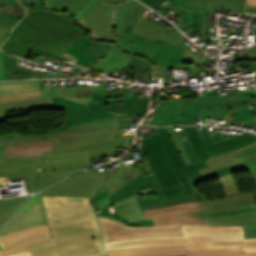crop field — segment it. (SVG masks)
Segmentation results:
<instances>
[{"instance_id": "crop-field-1", "label": "crop field", "mask_w": 256, "mask_h": 256, "mask_svg": "<svg viewBox=\"0 0 256 256\" xmlns=\"http://www.w3.org/2000/svg\"><path fill=\"white\" fill-rule=\"evenodd\" d=\"M53 238L32 243L12 254L31 256L105 255L90 198L42 197ZM10 254V255H12Z\"/></svg>"}, {"instance_id": "crop-field-2", "label": "crop field", "mask_w": 256, "mask_h": 256, "mask_svg": "<svg viewBox=\"0 0 256 256\" xmlns=\"http://www.w3.org/2000/svg\"><path fill=\"white\" fill-rule=\"evenodd\" d=\"M27 9L28 14L0 49L25 59L34 51L68 61L58 55L86 31L74 24L69 13Z\"/></svg>"}, {"instance_id": "crop-field-3", "label": "crop field", "mask_w": 256, "mask_h": 256, "mask_svg": "<svg viewBox=\"0 0 256 256\" xmlns=\"http://www.w3.org/2000/svg\"><path fill=\"white\" fill-rule=\"evenodd\" d=\"M133 137H122L118 128L49 134L48 141L55 140V154H46L39 170L91 166L89 157L113 155L117 145L129 148Z\"/></svg>"}, {"instance_id": "crop-field-4", "label": "crop field", "mask_w": 256, "mask_h": 256, "mask_svg": "<svg viewBox=\"0 0 256 256\" xmlns=\"http://www.w3.org/2000/svg\"><path fill=\"white\" fill-rule=\"evenodd\" d=\"M142 212L145 220L153 219L155 227H128L121 222L98 217L104 241L183 236L180 224L208 225L205 201L144 210Z\"/></svg>"}, {"instance_id": "crop-field-5", "label": "crop field", "mask_w": 256, "mask_h": 256, "mask_svg": "<svg viewBox=\"0 0 256 256\" xmlns=\"http://www.w3.org/2000/svg\"><path fill=\"white\" fill-rule=\"evenodd\" d=\"M184 237L132 239L105 243L106 249L186 244L187 250L242 245L244 253L256 252V238L244 239L242 226H185Z\"/></svg>"}, {"instance_id": "crop-field-6", "label": "crop field", "mask_w": 256, "mask_h": 256, "mask_svg": "<svg viewBox=\"0 0 256 256\" xmlns=\"http://www.w3.org/2000/svg\"><path fill=\"white\" fill-rule=\"evenodd\" d=\"M156 132L143 138L142 146L161 188L167 199L199 192L179 168L181 164L171 147L163 129L155 127Z\"/></svg>"}, {"instance_id": "crop-field-7", "label": "crop field", "mask_w": 256, "mask_h": 256, "mask_svg": "<svg viewBox=\"0 0 256 256\" xmlns=\"http://www.w3.org/2000/svg\"><path fill=\"white\" fill-rule=\"evenodd\" d=\"M148 98L111 99L107 100V105H104L81 97H54L52 98L54 107L67 108V116L60 128L46 133L67 129L71 124L113 116L108 111L140 115L148 108Z\"/></svg>"}, {"instance_id": "crop-field-8", "label": "crop field", "mask_w": 256, "mask_h": 256, "mask_svg": "<svg viewBox=\"0 0 256 256\" xmlns=\"http://www.w3.org/2000/svg\"><path fill=\"white\" fill-rule=\"evenodd\" d=\"M222 97L217 99L205 97L161 101L160 108L156 109V116L151 123L154 125L196 124V118L244 111L231 112L227 95Z\"/></svg>"}, {"instance_id": "crop-field-9", "label": "crop field", "mask_w": 256, "mask_h": 256, "mask_svg": "<svg viewBox=\"0 0 256 256\" xmlns=\"http://www.w3.org/2000/svg\"><path fill=\"white\" fill-rule=\"evenodd\" d=\"M203 128H204L206 139H201V141H199V142L191 143V146H192L199 162L186 165L178 148L176 147L171 135L169 134L167 128L163 127L172 147L174 148V150L183 166V167H181V169L183 170V172L188 176V178L192 182L196 181L197 184H199L208 179H212V178H215V177H218L221 175H225L228 173L248 170L245 163L243 162V163H240V164H237L234 166H230V167L200 176L198 169L206 167L204 160L208 158L207 154L230 149L232 147L240 145V144L256 137V135L245 132L237 137L226 140L224 142H222V140L210 142L207 126H203Z\"/></svg>"}, {"instance_id": "crop-field-10", "label": "crop field", "mask_w": 256, "mask_h": 256, "mask_svg": "<svg viewBox=\"0 0 256 256\" xmlns=\"http://www.w3.org/2000/svg\"><path fill=\"white\" fill-rule=\"evenodd\" d=\"M40 162L38 159L0 157V187L8 184L6 179H24L27 192L33 193L71 173L85 169L38 171Z\"/></svg>"}, {"instance_id": "crop-field-11", "label": "crop field", "mask_w": 256, "mask_h": 256, "mask_svg": "<svg viewBox=\"0 0 256 256\" xmlns=\"http://www.w3.org/2000/svg\"><path fill=\"white\" fill-rule=\"evenodd\" d=\"M111 172H94L89 170L71 176L41 192L42 196L63 195L92 197Z\"/></svg>"}, {"instance_id": "crop-field-12", "label": "crop field", "mask_w": 256, "mask_h": 256, "mask_svg": "<svg viewBox=\"0 0 256 256\" xmlns=\"http://www.w3.org/2000/svg\"><path fill=\"white\" fill-rule=\"evenodd\" d=\"M109 256H243L241 246L186 251L185 245L154 246L107 251Z\"/></svg>"}, {"instance_id": "crop-field-13", "label": "crop field", "mask_w": 256, "mask_h": 256, "mask_svg": "<svg viewBox=\"0 0 256 256\" xmlns=\"http://www.w3.org/2000/svg\"><path fill=\"white\" fill-rule=\"evenodd\" d=\"M144 38L124 31L109 50L108 56L94 66L95 69L113 72L115 67L125 69L133 54L143 57L145 49L139 48Z\"/></svg>"}, {"instance_id": "crop-field-14", "label": "crop field", "mask_w": 256, "mask_h": 256, "mask_svg": "<svg viewBox=\"0 0 256 256\" xmlns=\"http://www.w3.org/2000/svg\"><path fill=\"white\" fill-rule=\"evenodd\" d=\"M117 5L103 1L76 25L86 30L90 39L113 42V11Z\"/></svg>"}, {"instance_id": "crop-field-15", "label": "crop field", "mask_w": 256, "mask_h": 256, "mask_svg": "<svg viewBox=\"0 0 256 256\" xmlns=\"http://www.w3.org/2000/svg\"><path fill=\"white\" fill-rule=\"evenodd\" d=\"M41 224H47V222L40 194H37L26 201L0 226V236Z\"/></svg>"}, {"instance_id": "crop-field-16", "label": "crop field", "mask_w": 256, "mask_h": 256, "mask_svg": "<svg viewBox=\"0 0 256 256\" xmlns=\"http://www.w3.org/2000/svg\"><path fill=\"white\" fill-rule=\"evenodd\" d=\"M147 48L144 58L152 61L154 64L161 65L163 70V84L168 83V70L187 68L186 64H193V59H184L183 43L154 42L145 39L141 45ZM155 50H165L163 59H152Z\"/></svg>"}, {"instance_id": "crop-field-17", "label": "crop field", "mask_w": 256, "mask_h": 256, "mask_svg": "<svg viewBox=\"0 0 256 256\" xmlns=\"http://www.w3.org/2000/svg\"><path fill=\"white\" fill-rule=\"evenodd\" d=\"M145 6L139 4L133 26H129L126 31L155 41L183 42L182 33L175 27L166 31V27L153 23L142 15Z\"/></svg>"}, {"instance_id": "crop-field-18", "label": "crop field", "mask_w": 256, "mask_h": 256, "mask_svg": "<svg viewBox=\"0 0 256 256\" xmlns=\"http://www.w3.org/2000/svg\"><path fill=\"white\" fill-rule=\"evenodd\" d=\"M45 97L41 80L0 83V103Z\"/></svg>"}, {"instance_id": "crop-field-19", "label": "crop field", "mask_w": 256, "mask_h": 256, "mask_svg": "<svg viewBox=\"0 0 256 256\" xmlns=\"http://www.w3.org/2000/svg\"><path fill=\"white\" fill-rule=\"evenodd\" d=\"M50 237L47 225L37 226L0 237V246L3 248L0 250V256H5L32 242L44 240Z\"/></svg>"}, {"instance_id": "crop-field-20", "label": "crop field", "mask_w": 256, "mask_h": 256, "mask_svg": "<svg viewBox=\"0 0 256 256\" xmlns=\"http://www.w3.org/2000/svg\"><path fill=\"white\" fill-rule=\"evenodd\" d=\"M207 213L256 207L253 194H237L206 201Z\"/></svg>"}, {"instance_id": "crop-field-21", "label": "crop field", "mask_w": 256, "mask_h": 256, "mask_svg": "<svg viewBox=\"0 0 256 256\" xmlns=\"http://www.w3.org/2000/svg\"><path fill=\"white\" fill-rule=\"evenodd\" d=\"M45 153H54V141L5 147L4 157H29L42 159Z\"/></svg>"}, {"instance_id": "crop-field-22", "label": "crop field", "mask_w": 256, "mask_h": 256, "mask_svg": "<svg viewBox=\"0 0 256 256\" xmlns=\"http://www.w3.org/2000/svg\"><path fill=\"white\" fill-rule=\"evenodd\" d=\"M209 225H243L245 238L256 237V213L208 217Z\"/></svg>"}, {"instance_id": "crop-field-23", "label": "crop field", "mask_w": 256, "mask_h": 256, "mask_svg": "<svg viewBox=\"0 0 256 256\" xmlns=\"http://www.w3.org/2000/svg\"><path fill=\"white\" fill-rule=\"evenodd\" d=\"M26 10L18 0H0V26L14 28Z\"/></svg>"}, {"instance_id": "crop-field-24", "label": "crop field", "mask_w": 256, "mask_h": 256, "mask_svg": "<svg viewBox=\"0 0 256 256\" xmlns=\"http://www.w3.org/2000/svg\"><path fill=\"white\" fill-rule=\"evenodd\" d=\"M254 145H256V141L247 145V146H245V147H243V148H241V149L231 151V152H228V153H225V154H222V155L209 157V159L206 160V163H207L208 167L200 169L199 170L200 174L202 175V174H205V173H208V172H211V171H215V170H218V169H221V168L233 165V164L243 162L241 156L236 158L234 154L241 151V150H245L249 147H252Z\"/></svg>"}, {"instance_id": "crop-field-25", "label": "crop field", "mask_w": 256, "mask_h": 256, "mask_svg": "<svg viewBox=\"0 0 256 256\" xmlns=\"http://www.w3.org/2000/svg\"><path fill=\"white\" fill-rule=\"evenodd\" d=\"M137 1L131 0L122 3L115 12V29L116 34L123 32L130 24H133L136 9L138 6Z\"/></svg>"}, {"instance_id": "crop-field-26", "label": "crop field", "mask_w": 256, "mask_h": 256, "mask_svg": "<svg viewBox=\"0 0 256 256\" xmlns=\"http://www.w3.org/2000/svg\"><path fill=\"white\" fill-rule=\"evenodd\" d=\"M38 107H53L51 98H38L27 101L0 104V122L6 121L4 114Z\"/></svg>"}, {"instance_id": "crop-field-27", "label": "crop field", "mask_w": 256, "mask_h": 256, "mask_svg": "<svg viewBox=\"0 0 256 256\" xmlns=\"http://www.w3.org/2000/svg\"><path fill=\"white\" fill-rule=\"evenodd\" d=\"M90 0H46L45 9H52L56 12H69L72 16L79 11ZM124 2L127 0H109Z\"/></svg>"}, {"instance_id": "crop-field-28", "label": "crop field", "mask_w": 256, "mask_h": 256, "mask_svg": "<svg viewBox=\"0 0 256 256\" xmlns=\"http://www.w3.org/2000/svg\"><path fill=\"white\" fill-rule=\"evenodd\" d=\"M5 64L6 80L10 79H27L31 77V70L16 66L17 58L3 53Z\"/></svg>"}, {"instance_id": "crop-field-29", "label": "crop field", "mask_w": 256, "mask_h": 256, "mask_svg": "<svg viewBox=\"0 0 256 256\" xmlns=\"http://www.w3.org/2000/svg\"><path fill=\"white\" fill-rule=\"evenodd\" d=\"M47 141L46 134L24 137L22 133L0 136V156L3 157L4 146L30 142Z\"/></svg>"}, {"instance_id": "crop-field-30", "label": "crop field", "mask_w": 256, "mask_h": 256, "mask_svg": "<svg viewBox=\"0 0 256 256\" xmlns=\"http://www.w3.org/2000/svg\"><path fill=\"white\" fill-rule=\"evenodd\" d=\"M118 122H119V117L113 116V117H108L104 119L71 125L69 127H70V131L73 132L77 130L118 127Z\"/></svg>"}, {"instance_id": "crop-field-31", "label": "crop field", "mask_w": 256, "mask_h": 256, "mask_svg": "<svg viewBox=\"0 0 256 256\" xmlns=\"http://www.w3.org/2000/svg\"><path fill=\"white\" fill-rule=\"evenodd\" d=\"M128 182L129 180L124 171V168L122 164H120L119 167L114 171V173L109 177V179L104 184L111 192V194H113Z\"/></svg>"}, {"instance_id": "crop-field-32", "label": "crop field", "mask_w": 256, "mask_h": 256, "mask_svg": "<svg viewBox=\"0 0 256 256\" xmlns=\"http://www.w3.org/2000/svg\"><path fill=\"white\" fill-rule=\"evenodd\" d=\"M203 200H206V197L204 195H202L201 193H197V194H192V195H188V196H183V197H179V198L161 201L158 204L142 207L141 209L144 210V209L169 206V205H175V204H182V203H189V202H196V201H203Z\"/></svg>"}, {"instance_id": "crop-field-33", "label": "crop field", "mask_w": 256, "mask_h": 256, "mask_svg": "<svg viewBox=\"0 0 256 256\" xmlns=\"http://www.w3.org/2000/svg\"><path fill=\"white\" fill-rule=\"evenodd\" d=\"M236 157L241 155L243 160L246 162L249 172L253 178V181L256 185V146L249 148L245 151L235 154Z\"/></svg>"}, {"instance_id": "crop-field-34", "label": "crop field", "mask_w": 256, "mask_h": 256, "mask_svg": "<svg viewBox=\"0 0 256 256\" xmlns=\"http://www.w3.org/2000/svg\"><path fill=\"white\" fill-rule=\"evenodd\" d=\"M217 179L220 183V186L225 196H229L231 194H237L241 192L233 174L221 176V177H218Z\"/></svg>"}, {"instance_id": "crop-field-35", "label": "crop field", "mask_w": 256, "mask_h": 256, "mask_svg": "<svg viewBox=\"0 0 256 256\" xmlns=\"http://www.w3.org/2000/svg\"><path fill=\"white\" fill-rule=\"evenodd\" d=\"M205 3L214 4L216 6L237 12L242 13L244 0H195Z\"/></svg>"}, {"instance_id": "crop-field-36", "label": "crop field", "mask_w": 256, "mask_h": 256, "mask_svg": "<svg viewBox=\"0 0 256 256\" xmlns=\"http://www.w3.org/2000/svg\"><path fill=\"white\" fill-rule=\"evenodd\" d=\"M185 58H194V65H187L189 72L205 71L206 61H210L208 57L199 58V55H193L185 47ZM198 56V58H196Z\"/></svg>"}, {"instance_id": "crop-field-37", "label": "crop field", "mask_w": 256, "mask_h": 256, "mask_svg": "<svg viewBox=\"0 0 256 256\" xmlns=\"http://www.w3.org/2000/svg\"><path fill=\"white\" fill-rule=\"evenodd\" d=\"M238 95L240 97L239 98L240 103L230 105V109L254 105L251 97L256 96L255 92L241 93V94H238Z\"/></svg>"}, {"instance_id": "crop-field-38", "label": "crop field", "mask_w": 256, "mask_h": 256, "mask_svg": "<svg viewBox=\"0 0 256 256\" xmlns=\"http://www.w3.org/2000/svg\"><path fill=\"white\" fill-rule=\"evenodd\" d=\"M103 0H91L88 2L79 12H77L74 16V22H76L82 18L85 14H87L90 10H92L95 6H97Z\"/></svg>"}, {"instance_id": "crop-field-39", "label": "crop field", "mask_w": 256, "mask_h": 256, "mask_svg": "<svg viewBox=\"0 0 256 256\" xmlns=\"http://www.w3.org/2000/svg\"><path fill=\"white\" fill-rule=\"evenodd\" d=\"M167 128H168L170 134L172 135L173 139L175 140V142H176V144H177V146H178V148H179V150H180V152H181V154H182V156H183V158H184L186 164H189L190 161H189V159H188V157H187V155H186V153H185V151H184V148H183V146H182V143H181L179 137L177 136V134H176L174 128H173V127H167Z\"/></svg>"}, {"instance_id": "crop-field-40", "label": "crop field", "mask_w": 256, "mask_h": 256, "mask_svg": "<svg viewBox=\"0 0 256 256\" xmlns=\"http://www.w3.org/2000/svg\"><path fill=\"white\" fill-rule=\"evenodd\" d=\"M17 203H11V204H5L0 205V223L12 212V210L19 204Z\"/></svg>"}, {"instance_id": "crop-field-41", "label": "crop field", "mask_w": 256, "mask_h": 256, "mask_svg": "<svg viewBox=\"0 0 256 256\" xmlns=\"http://www.w3.org/2000/svg\"><path fill=\"white\" fill-rule=\"evenodd\" d=\"M189 142L199 141V136L195 126L182 127Z\"/></svg>"}, {"instance_id": "crop-field-42", "label": "crop field", "mask_w": 256, "mask_h": 256, "mask_svg": "<svg viewBox=\"0 0 256 256\" xmlns=\"http://www.w3.org/2000/svg\"><path fill=\"white\" fill-rule=\"evenodd\" d=\"M37 110H65V109H60V108H39V109H28L24 111H19L11 114H7L6 117L7 119L17 117V116H23V115H28L30 114L29 111H37Z\"/></svg>"}, {"instance_id": "crop-field-43", "label": "crop field", "mask_w": 256, "mask_h": 256, "mask_svg": "<svg viewBox=\"0 0 256 256\" xmlns=\"http://www.w3.org/2000/svg\"><path fill=\"white\" fill-rule=\"evenodd\" d=\"M192 32L201 33V14L193 13Z\"/></svg>"}, {"instance_id": "crop-field-44", "label": "crop field", "mask_w": 256, "mask_h": 256, "mask_svg": "<svg viewBox=\"0 0 256 256\" xmlns=\"http://www.w3.org/2000/svg\"><path fill=\"white\" fill-rule=\"evenodd\" d=\"M251 212H256V208L242 209V210H234V211H226V212H219V213H211V214H207V215H208V216H221V215L240 214V213H251Z\"/></svg>"}, {"instance_id": "crop-field-45", "label": "crop field", "mask_w": 256, "mask_h": 256, "mask_svg": "<svg viewBox=\"0 0 256 256\" xmlns=\"http://www.w3.org/2000/svg\"><path fill=\"white\" fill-rule=\"evenodd\" d=\"M234 115H235V118L237 121L253 119V118H255L254 115H256V109L245 111V112H240V113H235Z\"/></svg>"}, {"instance_id": "crop-field-46", "label": "crop field", "mask_w": 256, "mask_h": 256, "mask_svg": "<svg viewBox=\"0 0 256 256\" xmlns=\"http://www.w3.org/2000/svg\"><path fill=\"white\" fill-rule=\"evenodd\" d=\"M26 7L34 5V10L43 9L45 0H20Z\"/></svg>"}, {"instance_id": "crop-field-47", "label": "crop field", "mask_w": 256, "mask_h": 256, "mask_svg": "<svg viewBox=\"0 0 256 256\" xmlns=\"http://www.w3.org/2000/svg\"><path fill=\"white\" fill-rule=\"evenodd\" d=\"M181 141H182V143H183V146H184V148H185V150H186V152H187V154H188V156H189L191 162H192V163H193V162H197L198 160H197V158H196V156H195V154H194V152H193V150H192V148H191V146H190L188 140H187V139H184V140H181Z\"/></svg>"}, {"instance_id": "crop-field-48", "label": "crop field", "mask_w": 256, "mask_h": 256, "mask_svg": "<svg viewBox=\"0 0 256 256\" xmlns=\"http://www.w3.org/2000/svg\"><path fill=\"white\" fill-rule=\"evenodd\" d=\"M242 59L256 61V46L246 49Z\"/></svg>"}, {"instance_id": "crop-field-49", "label": "crop field", "mask_w": 256, "mask_h": 256, "mask_svg": "<svg viewBox=\"0 0 256 256\" xmlns=\"http://www.w3.org/2000/svg\"><path fill=\"white\" fill-rule=\"evenodd\" d=\"M12 29H7V28H1L0 27V45L3 43V41L6 39V37L8 36L9 32Z\"/></svg>"}, {"instance_id": "crop-field-50", "label": "crop field", "mask_w": 256, "mask_h": 256, "mask_svg": "<svg viewBox=\"0 0 256 256\" xmlns=\"http://www.w3.org/2000/svg\"><path fill=\"white\" fill-rule=\"evenodd\" d=\"M236 90H238V89H236ZM229 94H230V97H228L229 104L237 103L238 98H237L235 90H229Z\"/></svg>"}, {"instance_id": "crop-field-51", "label": "crop field", "mask_w": 256, "mask_h": 256, "mask_svg": "<svg viewBox=\"0 0 256 256\" xmlns=\"http://www.w3.org/2000/svg\"><path fill=\"white\" fill-rule=\"evenodd\" d=\"M0 80H5L4 64L2 60V53L0 52Z\"/></svg>"}, {"instance_id": "crop-field-52", "label": "crop field", "mask_w": 256, "mask_h": 256, "mask_svg": "<svg viewBox=\"0 0 256 256\" xmlns=\"http://www.w3.org/2000/svg\"><path fill=\"white\" fill-rule=\"evenodd\" d=\"M142 2H145V4L149 5L151 8L161 3L163 0H141Z\"/></svg>"}, {"instance_id": "crop-field-53", "label": "crop field", "mask_w": 256, "mask_h": 256, "mask_svg": "<svg viewBox=\"0 0 256 256\" xmlns=\"http://www.w3.org/2000/svg\"><path fill=\"white\" fill-rule=\"evenodd\" d=\"M173 3L170 4L169 6L172 7L173 9H179V7L182 5L184 0H171Z\"/></svg>"}, {"instance_id": "crop-field-54", "label": "crop field", "mask_w": 256, "mask_h": 256, "mask_svg": "<svg viewBox=\"0 0 256 256\" xmlns=\"http://www.w3.org/2000/svg\"><path fill=\"white\" fill-rule=\"evenodd\" d=\"M255 140H256V138H255V139H252V140H250V141H248V142H246V143H244V144H242V145H240V146H237V147H235V148H232V149H230V150H226V151H222V152L210 154L209 156L218 155V154H221V153H225V152H228V151H231V150L238 149V148H240V147H242V146H244V145H246V144H248V143H251V142H253V141H255Z\"/></svg>"}, {"instance_id": "crop-field-55", "label": "crop field", "mask_w": 256, "mask_h": 256, "mask_svg": "<svg viewBox=\"0 0 256 256\" xmlns=\"http://www.w3.org/2000/svg\"><path fill=\"white\" fill-rule=\"evenodd\" d=\"M163 51H156L153 58H162L163 57Z\"/></svg>"}, {"instance_id": "crop-field-56", "label": "crop field", "mask_w": 256, "mask_h": 256, "mask_svg": "<svg viewBox=\"0 0 256 256\" xmlns=\"http://www.w3.org/2000/svg\"><path fill=\"white\" fill-rule=\"evenodd\" d=\"M246 4L256 5V0H246Z\"/></svg>"}, {"instance_id": "crop-field-57", "label": "crop field", "mask_w": 256, "mask_h": 256, "mask_svg": "<svg viewBox=\"0 0 256 256\" xmlns=\"http://www.w3.org/2000/svg\"><path fill=\"white\" fill-rule=\"evenodd\" d=\"M244 256H256V253H248V254H244Z\"/></svg>"}, {"instance_id": "crop-field-58", "label": "crop field", "mask_w": 256, "mask_h": 256, "mask_svg": "<svg viewBox=\"0 0 256 256\" xmlns=\"http://www.w3.org/2000/svg\"><path fill=\"white\" fill-rule=\"evenodd\" d=\"M13 256H30V254H29V253H26V254L13 255Z\"/></svg>"}, {"instance_id": "crop-field-59", "label": "crop field", "mask_w": 256, "mask_h": 256, "mask_svg": "<svg viewBox=\"0 0 256 256\" xmlns=\"http://www.w3.org/2000/svg\"><path fill=\"white\" fill-rule=\"evenodd\" d=\"M254 198H255V203H256V193L254 194Z\"/></svg>"}, {"instance_id": "crop-field-60", "label": "crop field", "mask_w": 256, "mask_h": 256, "mask_svg": "<svg viewBox=\"0 0 256 256\" xmlns=\"http://www.w3.org/2000/svg\"><path fill=\"white\" fill-rule=\"evenodd\" d=\"M106 256V255H105Z\"/></svg>"}]
</instances>
